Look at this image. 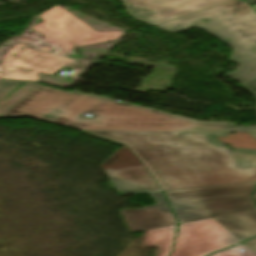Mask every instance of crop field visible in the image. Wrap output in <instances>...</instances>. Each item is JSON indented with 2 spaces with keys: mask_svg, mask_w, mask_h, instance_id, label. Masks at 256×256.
I'll return each mask as SVG.
<instances>
[{
  "mask_svg": "<svg viewBox=\"0 0 256 256\" xmlns=\"http://www.w3.org/2000/svg\"><path fill=\"white\" fill-rule=\"evenodd\" d=\"M89 133L128 144L163 191L256 181V151L231 150L214 139L227 133Z\"/></svg>",
  "mask_w": 256,
  "mask_h": 256,
  "instance_id": "obj_1",
  "label": "crop field"
},
{
  "mask_svg": "<svg viewBox=\"0 0 256 256\" xmlns=\"http://www.w3.org/2000/svg\"><path fill=\"white\" fill-rule=\"evenodd\" d=\"M86 113L92 118L84 116ZM2 117H30L82 131L256 132V126L198 122L135 104L42 86L33 89Z\"/></svg>",
  "mask_w": 256,
  "mask_h": 256,
  "instance_id": "obj_2",
  "label": "crop field"
},
{
  "mask_svg": "<svg viewBox=\"0 0 256 256\" xmlns=\"http://www.w3.org/2000/svg\"><path fill=\"white\" fill-rule=\"evenodd\" d=\"M44 22L31 26V30L44 35L43 44L56 46L60 50L56 55L34 50L16 43L1 58L0 65L5 73L0 79L38 81L39 72L53 75L65 64L78 61L63 57L75 47L120 39L119 31H96L73 16L59 5L39 15Z\"/></svg>",
  "mask_w": 256,
  "mask_h": 256,
  "instance_id": "obj_3",
  "label": "crop field"
},
{
  "mask_svg": "<svg viewBox=\"0 0 256 256\" xmlns=\"http://www.w3.org/2000/svg\"><path fill=\"white\" fill-rule=\"evenodd\" d=\"M254 183L165 192L180 224L213 218L241 242L256 236Z\"/></svg>",
  "mask_w": 256,
  "mask_h": 256,
  "instance_id": "obj_4",
  "label": "crop field"
},
{
  "mask_svg": "<svg viewBox=\"0 0 256 256\" xmlns=\"http://www.w3.org/2000/svg\"><path fill=\"white\" fill-rule=\"evenodd\" d=\"M201 19L209 21L202 22ZM156 27L171 33L193 27L203 29L233 48L229 61L237 64L238 69L226 73L227 77L241 85L256 79V12L247 3L234 0Z\"/></svg>",
  "mask_w": 256,
  "mask_h": 256,
  "instance_id": "obj_5",
  "label": "crop field"
},
{
  "mask_svg": "<svg viewBox=\"0 0 256 256\" xmlns=\"http://www.w3.org/2000/svg\"><path fill=\"white\" fill-rule=\"evenodd\" d=\"M238 240L213 219L182 224L170 256H206L240 243Z\"/></svg>",
  "mask_w": 256,
  "mask_h": 256,
  "instance_id": "obj_6",
  "label": "crop field"
},
{
  "mask_svg": "<svg viewBox=\"0 0 256 256\" xmlns=\"http://www.w3.org/2000/svg\"><path fill=\"white\" fill-rule=\"evenodd\" d=\"M136 20L156 26L175 18L204 10L231 0H122ZM148 12L143 14L141 10Z\"/></svg>",
  "mask_w": 256,
  "mask_h": 256,
  "instance_id": "obj_7",
  "label": "crop field"
},
{
  "mask_svg": "<svg viewBox=\"0 0 256 256\" xmlns=\"http://www.w3.org/2000/svg\"><path fill=\"white\" fill-rule=\"evenodd\" d=\"M150 195L157 203L154 206L122 212L131 232L176 224L163 193L156 192Z\"/></svg>",
  "mask_w": 256,
  "mask_h": 256,
  "instance_id": "obj_8",
  "label": "crop field"
},
{
  "mask_svg": "<svg viewBox=\"0 0 256 256\" xmlns=\"http://www.w3.org/2000/svg\"><path fill=\"white\" fill-rule=\"evenodd\" d=\"M120 194L161 191L145 166L106 170Z\"/></svg>",
  "mask_w": 256,
  "mask_h": 256,
  "instance_id": "obj_9",
  "label": "crop field"
},
{
  "mask_svg": "<svg viewBox=\"0 0 256 256\" xmlns=\"http://www.w3.org/2000/svg\"><path fill=\"white\" fill-rule=\"evenodd\" d=\"M38 84L0 80V117Z\"/></svg>",
  "mask_w": 256,
  "mask_h": 256,
  "instance_id": "obj_10",
  "label": "crop field"
},
{
  "mask_svg": "<svg viewBox=\"0 0 256 256\" xmlns=\"http://www.w3.org/2000/svg\"><path fill=\"white\" fill-rule=\"evenodd\" d=\"M43 22L42 19L38 16L34 18V20L30 23L29 27L27 28L26 32L24 33L23 36L17 37L11 41H9L7 44L3 45L0 48V58L4 52H6L12 45H14L16 42L23 43L29 47L43 50L46 52L54 53L56 54L59 49L51 46H46L43 45L40 41L43 38V35L37 33V32H32L29 28L33 24L41 23ZM0 72H3V70L0 67Z\"/></svg>",
  "mask_w": 256,
  "mask_h": 256,
  "instance_id": "obj_11",
  "label": "crop field"
},
{
  "mask_svg": "<svg viewBox=\"0 0 256 256\" xmlns=\"http://www.w3.org/2000/svg\"><path fill=\"white\" fill-rule=\"evenodd\" d=\"M176 227L177 225L149 230L145 247L160 245L162 247L160 256H168L173 247Z\"/></svg>",
  "mask_w": 256,
  "mask_h": 256,
  "instance_id": "obj_12",
  "label": "crop field"
},
{
  "mask_svg": "<svg viewBox=\"0 0 256 256\" xmlns=\"http://www.w3.org/2000/svg\"><path fill=\"white\" fill-rule=\"evenodd\" d=\"M143 165L137 157L125 146L104 164L103 168H115V167H129Z\"/></svg>",
  "mask_w": 256,
  "mask_h": 256,
  "instance_id": "obj_13",
  "label": "crop field"
},
{
  "mask_svg": "<svg viewBox=\"0 0 256 256\" xmlns=\"http://www.w3.org/2000/svg\"><path fill=\"white\" fill-rule=\"evenodd\" d=\"M244 250L245 252L241 253L238 250ZM217 256H256V253L251 250L249 247L246 245H242L237 248H233L227 251H223L217 254Z\"/></svg>",
  "mask_w": 256,
  "mask_h": 256,
  "instance_id": "obj_14",
  "label": "crop field"
},
{
  "mask_svg": "<svg viewBox=\"0 0 256 256\" xmlns=\"http://www.w3.org/2000/svg\"><path fill=\"white\" fill-rule=\"evenodd\" d=\"M244 87H245L247 90L251 91L254 96H256V92H254V91L252 90L253 88L256 87V80H254V81H252V82H250V83L244 85Z\"/></svg>",
  "mask_w": 256,
  "mask_h": 256,
  "instance_id": "obj_15",
  "label": "crop field"
},
{
  "mask_svg": "<svg viewBox=\"0 0 256 256\" xmlns=\"http://www.w3.org/2000/svg\"><path fill=\"white\" fill-rule=\"evenodd\" d=\"M247 246H249L251 249H253L256 252V239L246 243Z\"/></svg>",
  "mask_w": 256,
  "mask_h": 256,
  "instance_id": "obj_16",
  "label": "crop field"
},
{
  "mask_svg": "<svg viewBox=\"0 0 256 256\" xmlns=\"http://www.w3.org/2000/svg\"><path fill=\"white\" fill-rule=\"evenodd\" d=\"M245 1H247L248 3H251V4L256 3V0H245Z\"/></svg>",
  "mask_w": 256,
  "mask_h": 256,
  "instance_id": "obj_17",
  "label": "crop field"
},
{
  "mask_svg": "<svg viewBox=\"0 0 256 256\" xmlns=\"http://www.w3.org/2000/svg\"><path fill=\"white\" fill-rule=\"evenodd\" d=\"M254 199H255V201H256V191H255V194H254Z\"/></svg>",
  "mask_w": 256,
  "mask_h": 256,
  "instance_id": "obj_18",
  "label": "crop field"
},
{
  "mask_svg": "<svg viewBox=\"0 0 256 256\" xmlns=\"http://www.w3.org/2000/svg\"><path fill=\"white\" fill-rule=\"evenodd\" d=\"M254 8H255V10H256V5H254Z\"/></svg>",
  "mask_w": 256,
  "mask_h": 256,
  "instance_id": "obj_19",
  "label": "crop field"
},
{
  "mask_svg": "<svg viewBox=\"0 0 256 256\" xmlns=\"http://www.w3.org/2000/svg\"><path fill=\"white\" fill-rule=\"evenodd\" d=\"M213 256H216V255H213Z\"/></svg>",
  "mask_w": 256,
  "mask_h": 256,
  "instance_id": "obj_20",
  "label": "crop field"
}]
</instances>
